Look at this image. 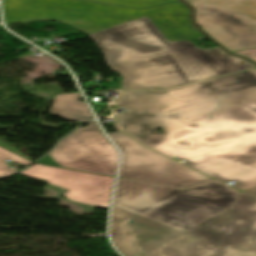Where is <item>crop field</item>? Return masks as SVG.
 Wrapping results in <instances>:
<instances>
[{
  "label": "crop field",
  "mask_w": 256,
  "mask_h": 256,
  "mask_svg": "<svg viewBox=\"0 0 256 256\" xmlns=\"http://www.w3.org/2000/svg\"><path fill=\"white\" fill-rule=\"evenodd\" d=\"M123 131L245 190L256 186V70L164 91L123 92ZM157 127L162 135H150Z\"/></svg>",
  "instance_id": "8a807250"
},
{
  "label": "crop field",
  "mask_w": 256,
  "mask_h": 256,
  "mask_svg": "<svg viewBox=\"0 0 256 256\" xmlns=\"http://www.w3.org/2000/svg\"><path fill=\"white\" fill-rule=\"evenodd\" d=\"M111 237L125 256H256V197L185 233L113 205Z\"/></svg>",
  "instance_id": "ac0d7876"
},
{
  "label": "crop field",
  "mask_w": 256,
  "mask_h": 256,
  "mask_svg": "<svg viewBox=\"0 0 256 256\" xmlns=\"http://www.w3.org/2000/svg\"><path fill=\"white\" fill-rule=\"evenodd\" d=\"M95 43L112 70L125 76L123 90L167 88L256 67L220 47L170 42L161 31Z\"/></svg>",
  "instance_id": "34b2d1b8"
},
{
  "label": "crop field",
  "mask_w": 256,
  "mask_h": 256,
  "mask_svg": "<svg viewBox=\"0 0 256 256\" xmlns=\"http://www.w3.org/2000/svg\"><path fill=\"white\" fill-rule=\"evenodd\" d=\"M6 24L54 21L88 34L148 16L170 41L204 37L181 2L138 10L79 0H4Z\"/></svg>",
  "instance_id": "412701ff"
},
{
  "label": "crop field",
  "mask_w": 256,
  "mask_h": 256,
  "mask_svg": "<svg viewBox=\"0 0 256 256\" xmlns=\"http://www.w3.org/2000/svg\"><path fill=\"white\" fill-rule=\"evenodd\" d=\"M236 194L216 181L177 189L119 179L113 204L187 232L233 206Z\"/></svg>",
  "instance_id": "f4fd0767"
},
{
  "label": "crop field",
  "mask_w": 256,
  "mask_h": 256,
  "mask_svg": "<svg viewBox=\"0 0 256 256\" xmlns=\"http://www.w3.org/2000/svg\"><path fill=\"white\" fill-rule=\"evenodd\" d=\"M197 25L229 51L256 47V0H195Z\"/></svg>",
  "instance_id": "dd49c442"
},
{
  "label": "crop field",
  "mask_w": 256,
  "mask_h": 256,
  "mask_svg": "<svg viewBox=\"0 0 256 256\" xmlns=\"http://www.w3.org/2000/svg\"><path fill=\"white\" fill-rule=\"evenodd\" d=\"M109 136L121 149L119 177L185 188L212 180L178 162L139 145L120 131Z\"/></svg>",
  "instance_id": "e52e79f7"
},
{
  "label": "crop field",
  "mask_w": 256,
  "mask_h": 256,
  "mask_svg": "<svg viewBox=\"0 0 256 256\" xmlns=\"http://www.w3.org/2000/svg\"><path fill=\"white\" fill-rule=\"evenodd\" d=\"M62 167L115 176L118 154L96 121L77 129L49 154Z\"/></svg>",
  "instance_id": "d8731c3e"
},
{
  "label": "crop field",
  "mask_w": 256,
  "mask_h": 256,
  "mask_svg": "<svg viewBox=\"0 0 256 256\" xmlns=\"http://www.w3.org/2000/svg\"><path fill=\"white\" fill-rule=\"evenodd\" d=\"M70 190V200L107 209L114 178L35 164L19 173Z\"/></svg>",
  "instance_id": "5a996713"
},
{
  "label": "crop field",
  "mask_w": 256,
  "mask_h": 256,
  "mask_svg": "<svg viewBox=\"0 0 256 256\" xmlns=\"http://www.w3.org/2000/svg\"><path fill=\"white\" fill-rule=\"evenodd\" d=\"M79 96V93L56 95L49 115L80 122L91 120L85 103L78 102Z\"/></svg>",
  "instance_id": "3316defc"
},
{
  "label": "crop field",
  "mask_w": 256,
  "mask_h": 256,
  "mask_svg": "<svg viewBox=\"0 0 256 256\" xmlns=\"http://www.w3.org/2000/svg\"><path fill=\"white\" fill-rule=\"evenodd\" d=\"M158 30L159 29L151 22V20L148 17H145L139 20H135L123 25H119L107 30L91 34L90 37L93 41H97Z\"/></svg>",
  "instance_id": "28ad6ade"
},
{
  "label": "crop field",
  "mask_w": 256,
  "mask_h": 256,
  "mask_svg": "<svg viewBox=\"0 0 256 256\" xmlns=\"http://www.w3.org/2000/svg\"><path fill=\"white\" fill-rule=\"evenodd\" d=\"M8 159H10L14 162H17L19 164L26 165V166H28L30 163H32L24 158H21L11 152H8V151L0 148V177H4L6 175L17 172L15 170L8 168L9 165L3 163L4 161H6Z\"/></svg>",
  "instance_id": "d1516ede"
},
{
  "label": "crop field",
  "mask_w": 256,
  "mask_h": 256,
  "mask_svg": "<svg viewBox=\"0 0 256 256\" xmlns=\"http://www.w3.org/2000/svg\"><path fill=\"white\" fill-rule=\"evenodd\" d=\"M92 1L114 3V4L134 6V7L140 8V7L159 5V4L178 1V0H92Z\"/></svg>",
  "instance_id": "22f410ed"
},
{
  "label": "crop field",
  "mask_w": 256,
  "mask_h": 256,
  "mask_svg": "<svg viewBox=\"0 0 256 256\" xmlns=\"http://www.w3.org/2000/svg\"><path fill=\"white\" fill-rule=\"evenodd\" d=\"M234 54L245 56V57L250 58V59H252L256 62V48L255 49L244 50V51H239V52H234Z\"/></svg>",
  "instance_id": "cbeb9de0"
},
{
  "label": "crop field",
  "mask_w": 256,
  "mask_h": 256,
  "mask_svg": "<svg viewBox=\"0 0 256 256\" xmlns=\"http://www.w3.org/2000/svg\"><path fill=\"white\" fill-rule=\"evenodd\" d=\"M0 146L3 147V148H6V149H8V150H10V151H12V152H14V153H16V154H18V155H20V156H22V157H24V158H26L25 155H23L21 152H19V151L17 150V148H15V147H13V146H10V145L6 144V143L3 142V141H0Z\"/></svg>",
  "instance_id": "5142ce71"
},
{
  "label": "crop field",
  "mask_w": 256,
  "mask_h": 256,
  "mask_svg": "<svg viewBox=\"0 0 256 256\" xmlns=\"http://www.w3.org/2000/svg\"><path fill=\"white\" fill-rule=\"evenodd\" d=\"M38 163L50 164L55 166H60L57 162H55L49 155L45 156L43 159L38 161ZM61 167V166H60Z\"/></svg>",
  "instance_id": "d9b57169"
},
{
  "label": "crop field",
  "mask_w": 256,
  "mask_h": 256,
  "mask_svg": "<svg viewBox=\"0 0 256 256\" xmlns=\"http://www.w3.org/2000/svg\"><path fill=\"white\" fill-rule=\"evenodd\" d=\"M243 193H246V194H250V195H253V196H256V188L255 189H252V190H249V191H245Z\"/></svg>",
  "instance_id": "733c2abd"
},
{
  "label": "crop field",
  "mask_w": 256,
  "mask_h": 256,
  "mask_svg": "<svg viewBox=\"0 0 256 256\" xmlns=\"http://www.w3.org/2000/svg\"><path fill=\"white\" fill-rule=\"evenodd\" d=\"M184 1L187 2V3H189V2L194 1V0H184Z\"/></svg>",
  "instance_id": "4a817a6b"
}]
</instances>
